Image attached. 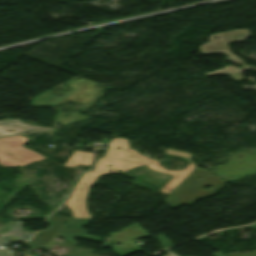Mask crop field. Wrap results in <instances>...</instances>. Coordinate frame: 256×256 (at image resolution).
<instances>
[{
    "mask_svg": "<svg viewBox=\"0 0 256 256\" xmlns=\"http://www.w3.org/2000/svg\"><path fill=\"white\" fill-rule=\"evenodd\" d=\"M116 148H120L117 150ZM167 154L182 156L188 159V165L181 170H166L158 160L150 159L137 150L130 149L127 139H111L103 156L96 158L90 171L84 172L73 187L64 204L68 207L73 218H91L87 211L86 200L89 187L98 177L106 173H117L118 170L126 172L138 166H143L153 172L170 175L169 181L159 190L160 193L170 195L177 186L197 167L190 160L192 154L167 148ZM171 189L170 191H168Z\"/></svg>",
    "mask_w": 256,
    "mask_h": 256,
    "instance_id": "1",
    "label": "crop field"
},
{
    "mask_svg": "<svg viewBox=\"0 0 256 256\" xmlns=\"http://www.w3.org/2000/svg\"><path fill=\"white\" fill-rule=\"evenodd\" d=\"M66 86L72 88L71 92L67 91H56L49 90L37 97L31 103L32 107H55L65 103L66 101H73L81 103L84 105L83 109L80 111H87L94 103L98 101L99 98L104 95V88L96 86V83L85 78L78 80H69L65 82ZM53 92L63 94V97L56 96L52 94ZM48 99H52L49 101ZM75 113H58L55 122L61 123L64 126L68 123L80 121L84 119H89L90 117ZM65 114H69L67 117H64ZM80 118V120H77Z\"/></svg>",
    "mask_w": 256,
    "mask_h": 256,
    "instance_id": "2",
    "label": "crop field"
},
{
    "mask_svg": "<svg viewBox=\"0 0 256 256\" xmlns=\"http://www.w3.org/2000/svg\"><path fill=\"white\" fill-rule=\"evenodd\" d=\"M214 36H216L219 40L214 41L213 40ZM247 38H250V35L247 29L232 30L224 33L209 35L208 37L209 42L199 47L202 54L208 55L213 53H224L227 56L226 60L242 65V68L239 69L229 65V66H224V69L215 70L214 72H211V73H205V75L210 76V75L223 74V75L230 76L234 81H238L242 79L240 74L242 70H248L249 68L256 70V67L248 66L244 64L241 59L233 56L226 45L228 43H232L236 41H243Z\"/></svg>",
    "mask_w": 256,
    "mask_h": 256,
    "instance_id": "3",
    "label": "crop field"
},
{
    "mask_svg": "<svg viewBox=\"0 0 256 256\" xmlns=\"http://www.w3.org/2000/svg\"><path fill=\"white\" fill-rule=\"evenodd\" d=\"M21 136L0 139V166L24 167L44 160L42 155L23 147Z\"/></svg>",
    "mask_w": 256,
    "mask_h": 256,
    "instance_id": "4",
    "label": "crop field"
},
{
    "mask_svg": "<svg viewBox=\"0 0 256 256\" xmlns=\"http://www.w3.org/2000/svg\"><path fill=\"white\" fill-rule=\"evenodd\" d=\"M70 217L51 216L46 220L49 228L38 232L35 237L29 242L31 248H41L46 246L54 235L64 226Z\"/></svg>",
    "mask_w": 256,
    "mask_h": 256,
    "instance_id": "5",
    "label": "crop field"
},
{
    "mask_svg": "<svg viewBox=\"0 0 256 256\" xmlns=\"http://www.w3.org/2000/svg\"><path fill=\"white\" fill-rule=\"evenodd\" d=\"M9 230L0 234V244H8L10 242V236H14L15 239L29 240L34 233L31 230L23 232V221H7ZM0 256H11L3 249L0 250Z\"/></svg>",
    "mask_w": 256,
    "mask_h": 256,
    "instance_id": "6",
    "label": "crop field"
},
{
    "mask_svg": "<svg viewBox=\"0 0 256 256\" xmlns=\"http://www.w3.org/2000/svg\"><path fill=\"white\" fill-rule=\"evenodd\" d=\"M7 129H14V130H16V132L15 133H7L5 131ZM48 130H51V129L41 128V127H36V126H31V125H25L17 120L0 121V137L40 132V131H48Z\"/></svg>",
    "mask_w": 256,
    "mask_h": 256,
    "instance_id": "7",
    "label": "crop field"
},
{
    "mask_svg": "<svg viewBox=\"0 0 256 256\" xmlns=\"http://www.w3.org/2000/svg\"><path fill=\"white\" fill-rule=\"evenodd\" d=\"M95 158V154L78 151H73L72 155L68 158V160L64 163L63 166L68 167H77L78 165L82 164L84 166L91 165Z\"/></svg>",
    "mask_w": 256,
    "mask_h": 256,
    "instance_id": "8",
    "label": "crop field"
},
{
    "mask_svg": "<svg viewBox=\"0 0 256 256\" xmlns=\"http://www.w3.org/2000/svg\"><path fill=\"white\" fill-rule=\"evenodd\" d=\"M56 236H60L64 238L66 241H68L72 245H79L73 240L72 237H79V238H86V239L95 240V241H101L100 238L85 235V232L59 231L56 234Z\"/></svg>",
    "mask_w": 256,
    "mask_h": 256,
    "instance_id": "9",
    "label": "crop field"
},
{
    "mask_svg": "<svg viewBox=\"0 0 256 256\" xmlns=\"http://www.w3.org/2000/svg\"><path fill=\"white\" fill-rule=\"evenodd\" d=\"M112 249L119 256H126L141 251L132 241L122 242L121 245L116 247L112 245Z\"/></svg>",
    "mask_w": 256,
    "mask_h": 256,
    "instance_id": "10",
    "label": "crop field"
},
{
    "mask_svg": "<svg viewBox=\"0 0 256 256\" xmlns=\"http://www.w3.org/2000/svg\"><path fill=\"white\" fill-rule=\"evenodd\" d=\"M90 221V219H71L61 230L85 231L81 225H88Z\"/></svg>",
    "mask_w": 256,
    "mask_h": 256,
    "instance_id": "11",
    "label": "crop field"
},
{
    "mask_svg": "<svg viewBox=\"0 0 256 256\" xmlns=\"http://www.w3.org/2000/svg\"><path fill=\"white\" fill-rule=\"evenodd\" d=\"M162 248H167L169 246H172V243L170 240L166 239L164 235L157 236Z\"/></svg>",
    "mask_w": 256,
    "mask_h": 256,
    "instance_id": "12",
    "label": "crop field"
},
{
    "mask_svg": "<svg viewBox=\"0 0 256 256\" xmlns=\"http://www.w3.org/2000/svg\"><path fill=\"white\" fill-rule=\"evenodd\" d=\"M227 255H229V256H256V251H251L248 254H241L240 252H236V253H228Z\"/></svg>",
    "mask_w": 256,
    "mask_h": 256,
    "instance_id": "13",
    "label": "crop field"
},
{
    "mask_svg": "<svg viewBox=\"0 0 256 256\" xmlns=\"http://www.w3.org/2000/svg\"><path fill=\"white\" fill-rule=\"evenodd\" d=\"M93 251L91 249H88V250H85V251H81V252H78V253H75V254H72V255H69V256H83V255H87L89 253H92Z\"/></svg>",
    "mask_w": 256,
    "mask_h": 256,
    "instance_id": "14",
    "label": "crop field"
},
{
    "mask_svg": "<svg viewBox=\"0 0 256 256\" xmlns=\"http://www.w3.org/2000/svg\"><path fill=\"white\" fill-rule=\"evenodd\" d=\"M164 252L168 253V254H166V255H164V256H178V255L172 253V252L169 251V250H166V251H164Z\"/></svg>",
    "mask_w": 256,
    "mask_h": 256,
    "instance_id": "15",
    "label": "crop field"
},
{
    "mask_svg": "<svg viewBox=\"0 0 256 256\" xmlns=\"http://www.w3.org/2000/svg\"><path fill=\"white\" fill-rule=\"evenodd\" d=\"M242 87L245 88V89H255L256 90V85H254V86L242 85Z\"/></svg>",
    "mask_w": 256,
    "mask_h": 256,
    "instance_id": "16",
    "label": "crop field"
},
{
    "mask_svg": "<svg viewBox=\"0 0 256 256\" xmlns=\"http://www.w3.org/2000/svg\"><path fill=\"white\" fill-rule=\"evenodd\" d=\"M8 132H15V131H13V130H7Z\"/></svg>",
    "mask_w": 256,
    "mask_h": 256,
    "instance_id": "17",
    "label": "crop field"
}]
</instances>
